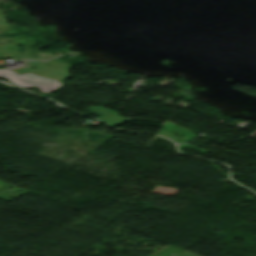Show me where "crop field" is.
Returning <instances> with one entry per match:
<instances>
[{
	"label": "crop field",
	"mask_w": 256,
	"mask_h": 256,
	"mask_svg": "<svg viewBox=\"0 0 256 256\" xmlns=\"http://www.w3.org/2000/svg\"><path fill=\"white\" fill-rule=\"evenodd\" d=\"M67 67L57 69L42 66L38 70L30 69L29 73L25 76H18L13 74L14 71L10 69L0 70V76L10 79V82L19 87H32L36 86L42 92H53L66 82L70 77L66 72ZM43 71L42 74L39 72Z\"/></svg>",
	"instance_id": "1"
},
{
	"label": "crop field",
	"mask_w": 256,
	"mask_h": 256,
	"mask_svg": "<svg viewBox=\"0 0 256 256\" xmlns=\"http://www.w3.org/2000/svg\"><path fill=\"white\" fill-rule=\"evenodd\" d=\"M0 14H1V11H0Z\"/></svg>",
	"instance_id": "2"
}]
</instances>
